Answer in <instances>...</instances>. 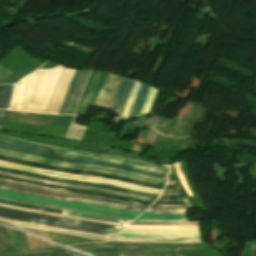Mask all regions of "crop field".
<instances>
[{
  "label": "crop field",
  "mask_w": 256,
  "mask_h": 256,
  "mask_svg": "<svg viewBox=\"0 0 256 256\" xmlns=\"http://www.w3.org/2000/svg\"><path fill=\"white\" fill-rule=\"evenodd\" d=\"M38 70V69H37ZM75 70H38L16 84L10 109L58 114ZM91 70H76L59 114H74Z\"/></svg>",
  "instance_id": "obj_1"
},
{
  "label": "crop field",
  "mask_w": 256,
  "mask_h": 256,
  "mask_svg": "<svg viewBox=\"0 0 256 256\" xmlns=\"http://www.w3.org/2000/svg\"><path fill=\"white\" fill-rule=\"evenodd\" d=\"M0 221H4V222L10 223V224H13L20 228L45 230V231L57 232V233L66 234V235H70V236H76V237H82V238H88V239H94V240H100V241H106V240H109L112 238V237H108V236H99V235H94V234H90V233L76 232V231H72V230L51 228V227H45V226H40V225H35V224H30V223L12 221V220H7V219H3V218H0Z\"/></svg>",
  "instance_id": "obj_13"
},
{
  "label": "crop field",
  "mask_w": 256,
  "mask_h": 256,
  "mask_svg": "<svg viewBox=\"0 0 256 256\" xmlns=\"http://www.w3.org/2000/svg\"><path fill=\"white\" fill-rule=\"evenodd\" d=\"M163 194L183 195L180 191H174V190H164Z\"/></svg>",
  "instance_id": "obj_35"
},
{
  "label": "crop field",
  "mask_w": 256,
  "mask_h": 256,
  "mask_svg": "<svg viewBox=\"0 0 256 256\" xmlns=\"http://www.w3.org/2000/svg\"><path fill=\"white\" fill-rule=\"evenodd\" d=\"M133 225H198V222H136Z\"/></svg>",
  "instance_id": "obj_26"
},
{
  "label": "crop field",
  "mask_w": 256,
  "mask_h": 256,
  "mask_svg": "<svg viewBox=\"0 0 256 256\" xmlns=\"http://www.w3.org/2000/svg\"><path fill=\"white\" fill-rule=\"evenodd\" d=\"M134 81L124 78L113 101L110 109L118 114L117 118H120L121 113L124 109L125 103L127 101L128 95L132 88Z\"/></svg>",
  "instance_id": "obj_16"
},
{
  "label": "crop field",
  "mask_w": 256,
  "mask_h": 256,
  "mask_svg": "<svg viewBox=\"0 0 256 256\" xmlns=\"http://www.w3.org/2000/svg\"><path fill=\"white\" fill-rule=\"evenodd\" d=\"M0 204H6V205L17 206V207L28 208V209L39 210V211H45V212H52V213H59V214L62 213V210H55V209H50V208L41 207V206L26 205V204H21V203L5 201V200H1V199H0Z\"/></svg>",
  "instance_id": "obj_22"
},
{
  "label": "crop field",
  "mask_w": 256,
  "mask_h": 256,
  "mask_svg": "<svg viewBox=\"0 0 256 256\" xmlns=\"http://www.w3.org/2000/svg\"><path fill=\"white\" fill-rule=\"evenodd\" d=\"M149 88H150L149 86H146V85L143 86V89H142V91L140 93V96L138 98L137 106H136V109L134 111L133 116H138L139 115L140 110H141L142 105H143V102H144V99L147 95V92H148Z\"/></svg>",
  "instance_id": "obj_27"
},
{
  "label": "crop field",
  "mask_w": 256,
  "mask_h": 256,
  "mask_svg": "<svg viewBox=\"0 0 256 256\" xmlns=\"http://www.w3.org/2000/svg\"><path fill=\"white\" fill-rule=\"evenodd\" d=\"M13 90V85H6L2 87L1 97H0V108L1 109H7L8 104L11 99Z\"/></svg>",
  "instance_id": "obj_24"
},
{
  "label": "crop field",
  "mask_w": 256,
  "mask_h": 256,
  "mask_svg": "<svg viewBox=\"0 0 256 256\" xmlns=\"http://www.w3.org/2000/svg\"><path fill=\"white\" fill-rule=\"evenodd\" d=\"M0 183L9 184V185L18 186V187H23V188H28V189H33V190H38V191H43V192L62 194V195H69V196L82 197V198H88V199H95V200H101V201H107V202L121 203V204L129 205V206L146 207V208H148V206L133 205V204L118 202V201H114V200H110V199L95 198V197H89V196H82V195H75V194H68V193H60V192L41 190V189H36V188L29 187V186L18 185V184L9 183V182H3V181H0Z\"/></svg>",
  "instance_id": "obj_18"
},
{
  "label": "crop field",
  "mask_w": 256,
  "mask_h": 256,
  "mask_svg": "<svg viewBox=\"0 0 256 256\" xmlns=\"http://www.w3.org/2000/svg\"><path fill=\"white\" fill-rule=\"evenodd\" d=\"M139 85H140V83L138 82V83H137V85H136V88H135V90H134V93H133V95H132V99H131V103H130L129 110H128V112H127V114H126L125 118H124L125 120L127 119V116H128V114H129V111H130L131 105H132V103H133V100H134V98H135V94H136V91H137V89H138Z\"/></svg>",
  "instance_id": "obj_34"
},
{
  "label": "crop field",
  "mask_w": 256,
  "mask_h": 256,
  "mask_svg": "<svg viewBox=\"0 0 256 256\" xmlns=\"http://www.w3.org/2000/svg\"><path fill=\"white\" fill-rule=\"evenodd\" d=\"M186 209L183 210H159V209H147L144 212L150 213H185Z\"/></svg>",
  "instance_id": "obj_30"
},
{
  "label": "crop field",
  "mask_w": 256,
  "mask_h": 256,
  "mask_svg": "<svg viewBox=\"0 0 256 256\" xmlns=\"http://www.w3.org/2000/svg\"><path fill=\"white\" fill-rule=\"evenodd\" d=\"M0 188L4 189V190L20 192V193L34 195V196H38V197L66 200V201L85 203V204L104 206V207H112V208L124 209V210H129V211L142 212L146 209V208L128 207V206H124V205H120V204L107 203V202H101V201H95V200H88V199H81V198H75V197H69V196L43 193V192H38V191H33V190H28V189H23V188H17V187H13V186H9V185H4V184H0Z\"/></svg>",
  "instance_id": "obj_10"
},
{
  "label": "crop field",
  "mask_w": 256,
  "mask_h": 256,
  "mask_svg": "<svg viewBox=\"0 0 256 256\" xmlns=\"http://www.w3.org/2000/svg\"><path fill=\"white\" fill-rule=\"evenodd\" d=\"M1 87H2V85H0V91H1Z\"/></svg>",
  "instance_id": "obj_42"
},
{
  "label": "crop field",
  "mask_w": 256,
  "mask_h": 256,
  "mask_svg": "<svg viewBox=\"0 0 256 256\" xmlns=\"http://www.w3.org/2000/svg\"><path fill=\"white\" fill-rule=\"evenodd\" d=\"M72 253H75L73 251H71ZM70 252H65V253H57V254H49V255H39V256H77L75 254H78V253H75V254H72ZM80 256H84V255H81V254H78Z\"/></svg>",
  "instance_id": "obj_32"
},
{
  "label": "crop field",
  "mask_w": 256,
  "mask_h": 256,
  "mask_svg": "<svg viewBox=\"0 0 256 256\" xmlns=\"http://www.w3.org/2000/svg\"><path fill=\"white\" fill-rule=\"evenodd\" d=\"M0 149L19 152V153H23V154H27V155L44 157V158L74 162V163L111 167V168H116V169L132 172V173H137V174H142V175H146V176H150V177L160 178V179H164V180H166V178H167V175L149 173V172H145L142 170L122 166L120 164L109 163V162L98 161V160L75 159V158L64 157L55 148L38 145V144H33V143L20 141V140H13V139H7V138L0 137Z\"/></svg>",
  "instance_id": "obj_3"
},
{
  "label": "crop field",
  "mask_w": 256,
  "mask_h": 256,
  "mask_svg": "<svg viewBox=\"0 0 256 256\" xmlns=\"http://www.w3.org/2000/svg\"><path fill=\"white\" fill-rule=\"evenodd\" d=\"M137 219L187 220L185 214H145V213L140 215Z\"/></svg>",
  "instance_id": "obj_19"
},
{
  "label": "crop field",
  "mask_w": 256,
  "mask_h": 256,
  "mask_svg": "<svg viewBox=\"0 0 256 256\" xmlns=\"http://www.w3.org/2000/svg\"><path fill=\"white\" fill-rule=\"evenodd\" d=\"M154 206H190V205H155L153 204Z\"/></svg>",
  "instance_id": "obj_41"
},
{
  "label": "crop field",
  "mask_w": 256,
  "mask_h": 256,
  "mask_svg": "<svg viewBox=\"0 0 256 256\" xmlns=\"http://www.w3.org/2000/svg\"><path fill=\"white\" fill-rule=\"evenodd\" d=\"M165 189H180L178 186H166Z\"/></svg>",
  "instance_id": "obj_40"
},
{
  "label": "crop field",
  "mask_w": 256,
  "mask_h": 256,
  "mask_svg": "<svg viewBox=\"0 0 256 256\" xmlns=\"http://www.w3.org/2000/svg\"><path fill=\"white\" fill-rule=\"evenodd\" d=\"M0 232H1L2 236H3V238H4V241L6 243L7 249H12L11 246H10V243H9L8 236H7V234H6V232H5L3 227H0Z\"/></svg>",
  "instance_id": "obj_33"
},
{
  "label": "crop field",
  "mask_w": 256,
  "mask_h": 256,
  "mask_svg": "<svg viewBox=\"0 0 256 256\" xmlns=\"http://www.w3.org/2000/svg\"><path fill=\"white\" fill-rule=\"evenodd\" d=\"M0 180L14 182V183H18V184L29 185V186L37 187V188L55 190V191L69 192V193L89 195V196H95V197L110 198V199H114V200H118V201L130 202V203L139 204V205H150L152 203V202H148V201H141V200L126 198V197H121V196H115V195H111V194H107V193L74 189V188H63V187H58V186H50V185L30 182V181H26V180H22V179H18V178L5 177V176H1V175H0Z\"/></svg>",
  "instance_id": "obj_8"
},
{
  "label": "crop field",
  "mask_w": 256,
  "mask_h": 256,
  "mask_svg": "<svg viewBox=\"0 0 256 256\" xmlns=\"http://www.w3.org/2000/svg\"><path fill=\"white\" fill-rule=\"evenodd\" d=\"M149 208H160V209H182V208H192V207H153V206H150Z\"/></svg>",
  "instance_id": "obj_36"
},
{
  "label": "crop field",
  "mask_w": 256,
  "mask_h": 256,
  "mask_svg": "<svg viewBox=\"0 0 256 256\" xmlns=\"http://www.w3.org/2000/svg\"><path fill=\"white\" fill-rule=\"evenodd\" d=\"M0 197L38 203V204H44V205H52V206H57L61 208L97 212V213H103V214H108L112 216L132 218V219H134L136 216L140 214L138 212H129V211L97 207V206L78 204V203H71V202H65V201H59V200L37 198V197L27 196L19 193L4 191L1 189H0Z\"/></svg>",
  "instance_id": "obj_5"
},
{
  "label": "crop field",
  "mask_w": 256,
  "mask_h": 256,
  "mask_svg": "<svg viewBox=\"0 0 256 256\" xmlns=\"http://www.w3.org/2000/svg\"><path fill=\"white\" fill-rule=\"evenodd\" d=\"M108 73L93 70L87 86L81 96L80 102L75 114L85 115L89 105L94 106L98 93L104 83Z\"/></svg>",
  "instance_id": "obj_11"
},
{
  "label": "crop field",
  "mask_w": 256,
  "mask_h": 256,
  "mask_svg": "<svg viewBox=\"0 0 256 256\" xmlns=\"http://www.w3.org/2000/svg\"><path fill=\"white\" fill-rule=\"evenodd\" d=\"M0 174H2V175H7V176H12V177H18V178H22V179H26V180H32V181L41 182V183H45V184L59 185V186H64V187L82 188V187L70 186V185H65V184H54V183H48V182L38 181V180H34V179H30V178H25V177H20V176L12 175V174H6V173H2V172H0ZM82 189H88V190H94V191L107 192V193H112V194H116V195L127 196V197L136 198V199H142V200L155 201L154 199H147V198L134 197V196L124 195V194H119V193H114V192H109V191H103V190H97V189H89V188H82Z\"/></svg>",
  "instance_id": "obj_23"
},
{
  "label": "crop field",
  "mask_w": 256,
  "mask_h": 256,
  "mask_svg": "<svg viewBox=\"0 0 256 256\" xmlns=\"http://www.w3.org/2000/svg\"><path fill=\"white\" fill-rule=\"evenodd\" d=\"M0 206H2V207H7V208H11V209H17V210H24V211H30V212H37V213H42V214H45V215H51V216H57V217H65V218H73V219H80V220L93 221V222H101V223L113 224V225H118V226H123V227H126V226H127V225H125V224H118V223H112V222H106V221L91 220V219H83V218H76V217H70V216H64V215H58V214L44 213V212L33 211V210H27V209L16 208V207L5 206V205H0Z\"/></svg>",
  "instance_id": "obj_25"
},
{
  "label": "crop field",
  "mask_w": 256,
  "mask_h": 256,
  "mask_svg": "<svg viewBox=\"0 0 256 256\" xmlns=\"http://www.w3.org/2000/svg\"><path fill=\"white\" fill-rule=\"evenodd\" d=\"M0 154L1 155H5V156H9V157L29 160V161L36 162V163H46V164H50V165H54V166H59V167L70 168V169L93 170V171L105 172V173L125 176V177L132 178V179H137V180H143V181H147V182L157 183V184H161V185H164L165 182H166V181H163V180L148 178V177H144V176H141V175L127 173V172H123V171H119V170H115V169H110V168L97 167V166H88V165L70 164V163H66V162L50 160V159H44V158L33 157V156H27V155H22V154H18V153H14V152L3 151V150H0Z\"/></svg>",
  "instance_id": "obj_6"
},
{
  "label": "crop field",
  "mask_w": 256,
  "mask_h": 256,
  "mask_svg": "<svg viewBox=\"0 0 256 256\" xmlns=\"http://www.w3.org/2000/svg\"><path fill=\"white\" fill-rule=\"evenodd\" d=\"M0 250H7L1 234H0Z\"/></svg>",
  "instance_id": "obj_39"
},
{
  "label": "crop field",
  "mask_w": 256,
  "mask_h": 256,
  "mask_svg": "<svg viewBox=\"0 0 256 256\" xmlns=\"http://www.w3.org/2000/svg\"><path fill=\"white\" fill-rule=\"evenodd\" d=\"M156 204H189L185 196L162 195Z\"/></svg>",
  "instance_id": "obj_21"
},
{
  "label": "crop field",
  "mask_w": 256,
  "mask_h": 256,
  "mask_svg": "<svg viewBox=\"0 0 256 256\" xmlns=\"http://www.w3.org/2000/svg\"><path fill=\"white\" fill-rule=\"evenodd\" d=\"M0 217L30 222V223H35V224H40L45 226L66 228V229H72L76 231L91 232L95 234L108 235V236H114L117 233H119L122 229H124L121 227H116L111 225L92 223V222L73 220V219L50 217L45 215L5 209L1 207H0Z\"/></svg>",
  "instance_id": "obj_2"
},
{
  "label": "crop field",
  "mask_w": 256,
  "mask_h": 256,
  "mask_svg": "<svg viewBox=\"0 0 256 256\" xmlns=\"http://www.w3.org/2000/svg\"><path fill=\"white\" fill-rule=\"evenodd\" d=\"M48 233H49V236L52 240L60 242L62 244L97 242V241H94V240H87V239L69 237V236L59 235V234L50 233V232H48Z\"/></svg>",
  "instance_id": "obj_20"
},
{
  "label": "crop field",
  "mask_w": 256,
  "mask_h": 256,
  "mask_svg": "<svg viewBox=\"0 0 256 256\" xmlns=\"http://www.w3.org/2000/svg\"><path fill=\"white\" fill-rule=\"evenodd\" d=\"M127 227H140V228H198V226H132Z\"/></svg>",
  "instance_id": "obj_29"
},
{
  "label": "crop field",
  "mask_w": 256,
  "mask_h": 256,
  "mask_svg": "<svg viewBox=\"0 0 256 256\" xmlns=\"http://www.w3.org/2000/svg\"><path fill=\"white\" fill-rule=\"evenodd\" d=\"M3 199V198H2ZM8 200V199H7ZM13 201V200H12ZM16 202H19V201H16ZM21 203H25V202H21ZM26 204H32V203H26ZM33 205H38V204H33ZM41 206H44V205H41ZM49 207V206H47ZM52 208H55V207H52ZM56 209H61V208H56ZM65 210H68V209H65ZM69 211H76V210H69ZM76 212H83V211H76ZM85 213H88V212H85ZM94 214V213H92ZM99 215V214H98ZM104 216V215H103ZM110 217V216H108ZM118 218V217H117ZM121 219H125V218H121ZM131 220V219H130Z\"/></svg>",
  "instance_id": "obj_38"
},
{
  "label": "crop field",
  "mask_w": 256,
  "mask_h": 256,
  "mask_svg": "<svg viewBox=\"0 0 256 256\" xmlns=\"http://www.w3.org/2000/svg\"><path fill=\"white\" fill-rule=\"evenodd\" d=\"M15 232L20 244V250L0 251V256L38 255V254H49V253L70 251L62 247L56 246L54 244H53L54 248L28 250L25 234L18 230H15Z\"/></svg>",
  "instance_id": "obj_14"
},
{
  "label": "crop field",
  "mask_w": 256,
  "mask_h": 256,
  "mask_svg": "<svg viewBox=\"0 0 256 256\" xmlns=\"http://www.w3.org/2000/svg\"><path fill=\"white\" fill-rule=\"evenodd\" d=\"M11 74L10 71L0 67V83Z\"/></svg>",
  "instance_id": "obj_31"
},
{
  "label": "crop field",
  "mask_w": 256,
  "mask_h": 256,
  "mask_svg": "<svg viewBox=\"0 0 256 256\" xmlns=\"http://www.w3.org/2000/svg\"><path fill=\"white\" fill-rule=\"evenodd\" d=\"M121 80V77L109 73L95 105L103 107L104 104H107L110 108Z\"/></svg>",
  "instance_id": "obj_15"
},
{
  "label": "crop field",
  "mask_w": 256,
  "mask_h": 256,
  "mask_svg": "<svg viewBox=\"0 0 256 256\" xmlns=\"http://www.w3.org/2000/svg\"><path fill=\"white\" fill-rule=\"evenodd\" d=\"M4 227L6 229V232H7L8 236H9L12 248L13 249H19L18 241H17L14 230L10 227H7V226H4Z\"/></svg>",
  "instance_id": "obj_28"
},
{
  "label": "crop field",
  "mask_w": 256,
  "mask_h": 256,
  "mask_svg": "<svg viewBox=\"0 0 256 256\" xmlns=\"http://www.w3.org/2000/svg\"><path fill=\"white\" fill-rule=\"evenodd\" d=\"M70 246H73L79 249L99 248V247H121L122 254H120V256H140L141 244L93 243V244H75ZM196 247H201V245L200 244H142L141 255L172 253L177 249L196 248ZM80 251H83L89 254L121 253L120 248H100V249H87V250H80ZM148 256H177V252L173 254L148 255ZM180 256H183V255H180Z\"/></svg>",
  "instance_id": "obj_4"
},
{
  "label": "crop field",
  "mask_w": 256,
  "mask_h": 256,
  "mask_svg": "<svg viewBox=\"0 0 256 256\" xmlns=\"http://www.w3.org/2000/svg\"><path fill=\"white\" fill-rule=\"evenodd\" d=\"M0 160L17 163V164H21V165H26V166H30V167H34V168H41V169H45V170L58 171V172L71 173V174H79V175L97 176V177L125 181V182H129V183H133V184H138V185H143V186L158 188V189L164 188V186H161V185H156V184L147 183V182H143V181L132 180V179H128V178H124V177H120V176L109 175V174H105V173L76 171V170L47 166L44 164H36V163L29 162V161L18 160V159L3 157V156H0Z\"/></svg>",
  "instance_id": "obj_9"
},
{
  "label": "crop field",
  "mask_w": 256,
  "mask_h": 256,
  "mask_svg": "<svg viewBox=\"0 0 256 256\" xmlns=\"http://www.w3.org/2000/svg\"><path fill=\"white\" fill-rule=\"evenodd\" d=\"M111 242H155V243H200L199 239H167V238H113Z\"/></svg>",
  "instance_id": "obj_17"
},
{
  "label": "crop field",
  "mask_w": 256,
  "mask_h": 256,
  "mask_svg": "<svg viewBox=\"0 0 256 256\" xmlns=\"http://www.w3.org/2000/svg\"><path fill=\"white\" fill-rule=\"evenodd\" d=\"M0 171L7 172V173H13V174H17V175H20V176L30 177V178H34V179H38V180L54 182V183H66V184H71V185H76V186H86V187H92V188H98V189H109V190H114V191L130 194V195L140 196V197H147V198L157 199L158 196H159V195H156V194H148V193H143V192L130 190V189H125V188H120V187H115V186L96 184V183H88V182H81V181L65 180V179H59V178L44 176V175L32 174V173L19 171V170H14V169L5 168V167H0Z\"/></svg>",
  "instance_id": "obj_7"
},
{
  "label": "crop field",
  "mask_w": 256,
  "mask_h": 256,
  "mask_svg": "<svg viewBox=\"0 0 256 256\" xmlns=\"http://www.w3.org/2000/svg\"><path fill=\"white\" fill-rule=\"evenodd\" d=\"M6 112L7 111L0 110V128H1L2 122H3L4 118H5Z\"/></svg>",
  "instance_id": "obj_37"
},
{
  "label": "crop field",
  "mask_w": 256,
  "mask_h": 256,
  "mask_svg": "<svg viewBox=\"0 0 256 256\" xmlns=\"http://www.w3.org/2000/svg\"><path fill=\"white\" fill-rule=\"evenodd\" d=\"M59 151L62 152L64 155L70 156V157L91 158V159H99V160H105L110 162H116V163H120L130 167L139 168V169L150 171V172L162 173V174H167V169H168L167 167H155V166H150V165H146V164H142L139 162L130 161L122 158H113V157H107V156H99V155H92V154L71 152V151H64V150H59Z\"/></svg>",
  "instance_id": "obj_12"
}]
</instances>
